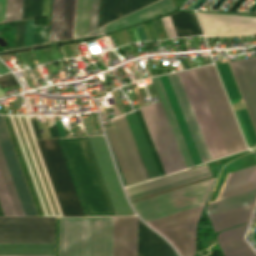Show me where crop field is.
<instances>
[{"mask_svg": "<svg viewBox=\"0 0 256 256\" xmlns=\"http://www.w3.org/2000/svg\"><path fill=\"white\" fill-rule=\"evenodd\" d=\"M116 215H133L103 136L88 137ZM88 215H114L86 137L60 139Z\"/></svg>", "mask_w": 256, "mask_h": 256, "instance_id": "8a807250", "label": "crop field"}, {"mask_svg": "<svg viewBox=\"0 0 256 256\" xmlns=\"http://www.w3.org/2000/svg\"><path fill=\"white\" fill-rule=\"evenodd\" d=\"M227 154L247 149L213 65L194 69ZM194 70L178 73L211 159L226 156Z\"/></svg>", "mask_w": 256, "mask_h": 256, "instance_id": "ac0d7876", "label": "crop field"}, {"mask_svg": "<svg viewBox=\"0 0 256 256\" xmlns=\"http://www.w3.org/2000/svg\"><path fill=\"white\" fill-rule=\"evenodd\" d=\"M113 217H60L59 256H112Z\"/></svg>", "mask_w": 256, "mask_h": 256, "instance_id": "34b2d1b8", "label": "crop field"}, {"mask_svg": "<svg viewBox=\"0 0 256 256\" xmlns=\"http://www.w3.org/2000/svg\"><path fill=\"white\" fill-rule=\"evenodd\" d=\"M213 179L133 203L145 222L189 209L206 202ZM185 194H182L184 193ZM194 202V203H191Z\"/></svg>", "mask_w": 256, "mask_h": 256, "instance_id": "412701ff", "label": "crop field"}, {"mask_svg": "<svg viewBox=\"0 0 256 256\" xmlns=\"http://www.w3.org/2000/svg\"><path fill=\"white\" fill-rule=\"evenodd\" d=\"M64 215H84L57 139L36 140Z\"/></svg>", "mask_w": 256, "mask_h": 256, "instance_id": "f4fd0767", "label": "crop field"}, {"mask_svg": "<svg viewBox=\"0 0 256 256\" xmlns=\"http://www.w3.org/2000/svg\"><path fill=\"white\" fill-rule=\"evenodd\" d=\"M165 173L185 169L160 103L140 110Z\"/></svg>", "mask_w": 256, "mask_h": 256, "instance_id": "dd49c442", "label": "crop field"}, {"mask_svg": "<svg viewBox=\"0 0 256 256\" xmlns=\"http://www.w3.org/2000/svg\"><path fill=\"white\" fill-rule=\"evenodd\" d=\"M120 118H123V116ZM120 118H117L111 121L113 126L104 127V128L116 127V125L118 127V128H112V129H106V130H107L115 157L117 159L118 165L120 167L121 173L123 175L124 181L127 184L130 182L147 178L148 176L146 174V171L144 169V166L142 164V161L140 159V156L138 154V151L132 139V136L129 132L125 119L124 118L120 119ZM115 120H118V121H115ZM113 121H115L116 125L114 124ZM116 159H115V162H116ZM117 162H116V165H117ZM119 167H118V170H119ZM120 170H119V173H120ZM122 175H121V178H122ZM123 178H122V182L124 186H128V185L135 184V183L149 179L147 178L144 180H140V181L125 185Z\"/></svg>", "mask_w": 256, "mask_h": 256, "instance_id": "e52e79f7", "label": "crop field"}, {"mask_svg": "<svg viewBox=\"0 0 256 256\" xmlns=\"http://www.w3.org/2000/svg\"><path fill=\"white\" fill-rule=\"evenodd\" d=\"M54 217L0 218V243H53Z\"/></svg>", "mask_w": 256, "mask_h": 256, "instance_id": "d8731c3e", "label": "crop field"}, {"mask_svg": "<svg viewBox=\"0 0 256 256\" xmlns=\"http://www.w3.org/2000/svg\"><path fill=\"white\" fill-rule=\"evenodd\" d=\"M204 205L147 222L167 236L181 256H193L195 230Z\"/></svg>", "mask_w": 256, "mask_h": 256, "instance_id": "5a996713", "label": "crop field"}, {"mask_svg": "<svg viewBox=\"0 0 256 256\" xmlns=\"http://www.w3.org/2000/svg\"><path fill=\"white\" fill-rule=\"evenodd\" d=\"M198 14L207 37L256 34V16Z\"/></svg>", "mask_w": 256, "mask_h": 256, "instance_id": "3316defc", "label": "crop field"}, {"mask_svg": "<svg viewBox=\"0 0 256 256\" xmlns=\"http://www.w3.org/2000/svg\"><path fill=\"white\" fill-rule=\"evenodd\" d=\"M0 144L26 216L38 215L22 173L3 116H0Z\"/></svg>", "mask_w": 256, "mask_h": 256, "instance_id": "28ad6ade", "label": "crop field"}, {"mask_svg": "<svg viewBox=\"0 0 256 256\" xmlns=\"http://www.w3.org/2000/svg\"><path fill=\"white\" fill-rule=\"evenodd\" d=\"M135 113H136V115H137V118H138L139 123H140V125H141V128H142V130H143V133H144V135H145V138H146V140H147V143H148V145H149V148H150V150H151V153H152V155H153V158H154L155 163H156V165H157V168H158V170H159V173H160V175L162 176V175H164L165 173H164V171H163V168H162V166H161V163H160V161H159V158H158V156H157V153H156V151H155V148H154V146H153V143H152V141H151V138H150V136H149V133H148V131H147V128H146V126H145V123H144V121H143V118H142V116H141V113H140L139 110L136 111ZM135 113L133 112V113H130V114H128V115H125V119H126V121H127V124H128V126H129V129H130V131H131V134H132V136H133V139H134V141H135V144H136V146H137V149H138V151H139V154H140V156H141V159H142L143 164H144V166H145V168H146V171H147V173H148L149 178L151 179V178L159 177L160 175H159V173H158V170H157V168H156V165H155V163H154V160H153V158H152V155H151V153H150V150H149V148H148V145H147V143H146V140H145V138H144V135H143V133H142V130H141V128H140V125H139V123H138V120H137V118H136Z\"/></svg>", "mask_w": 256, "mask_h": 256, "instance_id": "d1516ede", "label": "crop field"}, {"mask_svg": "<svg viewBox=\"0 0 256 256\" xmlns=\"http://www.w3.org/2000/svg\"><path fill=\"white\" fill-rule=\"evenodd\" d=\"M229 63L256 128V57Z\"/></svg>", "mask_w": 256, "mask_h": 256, "instance_id": "22f410ed", "label": "crop field"}, {"mask_svg": "<svg viewBox=\"0 0 256 256\" xmlns=\"http://www.w3.org/2000/svg\"><path fill=\"white\" fill-rule=\"evenodd\" d=\"M136 217H114L113 256H136Z\"/></svg>", "mask_w": 256, "mask_h": 256, "instance_id": "cbeb9de0", "label": "crop field"}, {"mask_svg": "<svg viewBox=\"0 0 256 256\" xmlns=\"http://www.w3.org/2000/svg\"><path fill=\"white\" fill-rule=\"evenodd\" d=\"M52 1L53 0H51L49 36H50ZM74 8H75V0H54L53 1L50 41L72 37ZM48 43H50L49 37H48Z\"/></svg>", "mask_w": 256, "mask_h": 256, "instance_id": "5142ce71", "label": "crop field"}, {"mask_svg": "<svg viewBox=\"0 0 256 256\" xmlns=\"http://www.w3.org/2000/svg\"><path fill=\"white\" fill-rule=\"evenodd\" d=\"M168 76L170 78L171 84H172L173 89L175 91L176 97H177L178 102L180 104L181 110H182L183 115L185 117L186 123L188 125L191 136L193 138V141L195 143V146H196V149L198 151L201 162L203 163V162L210 161L211 160L210 156L208 154L207 148H206L205 143L203 141L202 135H201L200 130L198 128V125L196 123L195 117H194L193 112L191 110V107L189 105V102H188V99H187L186 94L184 92V89L182 87L179 76H178L177 73L170 74Z\"/></svg>", "mask_w": 256, "mask_h": 256, "instance_id": "d9b57169", "label": "crop field"}, {"mask_svg": "<svg viewBox=\"0 0 256 256\" xmlns=\"http://www.w3.org/2000/svg\"><path fill=\"white\" fill-rule=\"evenodd\" d=\"M97 9H98V0L92 1V11H91V0L76 1L73 38L88 36L90 11H91V21H90L89 36L95 34Z\"/></svg>", "mask_w": 256, "mask_h": 256, "instance_id": "733c2abd", "label": "crop field"}, {"mask_svg": "<svg viewBox=\"0 0 256 256\" xmlns=\"http://www.w3.org/2000/svg\"><path fill=\"white\" fill-rule=\"evenodd\" d=\"M254 188H256V165L232 172L219 199L242 193Z\"/></svg>", "mask_w": 256, "mask_h": 256, "instance_id": "4a817a6b", "label": "crop field"}, {"mask_svg": "<svg viewBox=\"0 0 256 256\" xmlns=\"http://www.w3.org/2000/svg\"><path fill=\"white\" fill-rule=\"evenodd\" d=\"M157 0H102L100 26Z\"/></svg>", "mask_w": 256, "mask_h": 256, "instance_id": "bc2a9ffb", "label": "crop field"}, {"mask_svg": "<svg viewBox=\"0 0 256 256\" xmlns=\"http://www.w3.org/2000/svg\"><path fill=\"white\" fill-rule=\"evenodd\" d=\"M151 80H152L153 85H154V87H155L156 93H157V95H158V98H159L160 103H161V105H162V108H163V110H164V113H165V115H166V118H167V120H168V123H169V125H170V128H171V130H172V133H173V135H174V137H175V140H176V142H177V145H178V147H179V150H180V152H181V155H182V157H183V160H184V162H185V165H186V167L188 168V167L192 166L193 164H192L191 159H190V157H189V154H188V152H187L186 146H185V144H184V141H183V139H182V136H181V134H180V131H179V129H178V126H177V124H176L175 118H174V116H173V113H172V111H171V108H170V106H169V103H168V101H167V98H166V96H165V93H164V90H163L162 85H161V83H160V80H159L158 77L152 78Z\"/></svg>", "mask_w": 256, "mask_h": 256, "instance_id": "214f88e0", "label": "crop field"}, {"mask_svg": "<svg viewBox=\"0 0 256 256\" xmlns=\"http://www.w3.org/2000/svg\"><path fill=\"white\" fill-rule=\"evenodd\" d=\"M137 256H164V240L138 221Z\"/></svg>", "mask_w": 256, "mask_h": 256, "instance_id": "92a150f3", "label": "crop field"}, {"mask_svg": "<svg viewBox=\"0 0 256 256\" xmlns=\"http://www.w3.org/2000/svg\"><path fill=\"white\" fill-rule=\"evenodd\" d=\"M254 204L210 216L209 218L215 231L217 232L230 226L247 222L251 216V211H253Z\"/></svg>", "mask_w": 256, "mask_h": 256, "instance_id": "dafd665d", "label": "crop field"}, {"mask_svg": "<svg viewBox=\"0 0 256 256\" xmlns=\"http://www.w3.org/2000/svg\"><path fill=\"white\" fill-rule=\"evenodd\" d=\"M169 16L178 37L203 34L193 12L178 11Z\"/></svg>", "mask_w": 256, "mask_h": 256, "instance_id": "00972430", "label": "crop field"}, {"mask_svg": "<svg viewBox=\"0 0 256 256\" xmlns=\"http://www.w3.org/2000/svg\"><path fill=\"white\" fill-rule=\"evenodd\" d=\"M0 255H53V244H0Z\"/></svg>", "mask_w": 256, "mask_h": 256, "instance_id": "a9b5d70f", "label": "crop field"}, {"mask_svg": "<svg viewBox=\"0 0 256 256\" xmlns=\"http://www.w3.org/2000/svg\"><path fill=\"white\" fill-rule=\"evenodd\" d=\"M256 201V190L223 199L208 205V215H214L240 206H244Z\"/></svg>", "mask_w": 256, "mask_h": 256, "instance_id": "4177f3b9", "label": "crop field"}, {"mask_svg": "<svg viewBox=\"0 0 256 256\" xmlns=\"http://www.w3.org/2000/svg\"><path fill=\"white\" fill-rule=\"evenodd\" d=\"M208 170L209 169H208L207 165H204V166L197 167V168H194L191 170L175 173V174L163 177V178H159V179H156V180H153L150 182H146V183L134 186V187L127 188L126 189L127 195L129 196V195H132L135 193H139V192H142V191H145V190L157 187V186H161V185H164V184L176 181V180H180V179H183V178H186V177L198 174V173H202V172H205Z\"/></svg>", "mask_w": 256, "mask_h": 256, "instance_id": "730fd06b", "label": "crop field"}, {"mask_svg": "<svg viewBox=\"0 0 256 256\" xmlns=\"http://www.w3.org/2000/svg\"><path fill=\"white\" fill-rule=\"evenodd\" d=\"M0 173L16 216H25L0 147Z\"/></svg>", "mask_w": 256, "mask_h": 256, "instance_id": "eef30255", "label": "crop field"}, {"mask_svg": "<svg viewBox=\"0 0 256 256\" xmlns=\"http://www.w3.org/2000/svg\"><path fill=\"white\" fill-rule=\"evenodd\" d=\"M209 176H212L210 171L207 172V173L200 174V175H197V176H194V177H191V178H187V179H184V180H181V181H178V182H174V183L162 186V187H158V188H155V189H152V190H149V191H145V192H142V193H139V194H136V195H132V196H129L128 198L131 201V200L138 199V198H141V197H144V196H147V195H151V194H154V193H157V192H160V191H164V190L176 187V186H180V185H183V184H186V183H189V182H193V181H196V180H199V179H202V178H206V177H209Z\"/></svg>", "mask_w": 256, "mask_h": 256, "instance_id": "ae1a2a85", "label": "crop field"}, {"mask_svg": "<svg viewBox=\"0 0 256 256\" xmlns=\"http://www.w3.org/2000/svg\"><path fill=\"white\" fill-rule=\"evenodd\" d=\"M247 224L248 222L239 227L223 231L221 234L217 236L219 244L243 237L247 229Z\"/></svg>", "mask_w": 256, "mask_h": 256, "instance_id": "d3111659", "label": "crop field"}, {"mask_svg": "<svg viewBox=\"0 0 256 256\" xmlns=\"http://www.w3.org/2000/svg\"><path fill=\"white\" fill-rule=\"evenodd\" d=\"M22 0H7L5 22L20 19Z\"/></svg>", "mask_w": 256, "mask_h": 256, "instance_id": "750c4746", "label": "crop field"}, {"mask_svg": "<svg viewBox=\"0 0 256 256\" xmlns=\"http://www.w3.org/2000/svg\"><path fill=\"white\" fill-rule=\"evenodd\" d=\"M0 206L4 216H15L0 175Z\"/></svg>", "mask_w": 256, "mask_h": 256, "instance_id": "bd1437ed", "label": "crop field"}, {"mask_svg": "<svg viewBox=\"0 0 256 256\" xmlns=\"http://www.w3.org/2000/svg\"><path fill=\"white\" fill-rule=\"evenodd\" d=\"M220 246H221L224 254L226 255L228 253H231L233 251H236L238 249L246 247V246H248V244L243 238H240V239H237L234 241H230V242L221 244Z\"/></svg>", "mask_w": 256, "mask_h": 256, "instance_id": "1d83c4d3", "label": "crop field"}, {"mask_svg": "<svg viewBox=\"0 0 256 256\" xmlns=\"http://www.w3.org/2000/svg\"><path fill=\"white\" fill-rule=\"evenodd\" d=\"M48 25L35 26L33 45L47 43Z\"/></svg>", "mask_w": 256, "mask_h": 256, "instance_id": "120bbe31", "label": "crop field"}, {"mask_svg": "<svg viewBox=\"0 0 256 256\" xmlns=\"http://www.w3.org/2000/svg\"><path fill=\"white\" fill-rule=\"evenodd\" d=\"M34 19L26 20L24 47L32 45Z\"/></svg>", "mask_w": 256, "mask_h": 256, "instance_id": "d32e631a", "label": "crop field"}, {"mask_svg": "<svg viewBox=\"0 0 256 256\" xmlns=\"http://www.w3.org/2000/svg\"><path fill=\"white\" fill-rule=\"evenodd\" d=\"M24 26L25 20L18 22L15 48L23 47Z\"/></svg>", "mask_w": 256, "mask_h": 256, "instance_id": "5866460e", "label": "crop field"}, {"mask_svg": "<svg viewBox=\"0 0 256 256\" xmlns=\"http://www.w3.org/2000/svg\"><path fill=\"white\" fill-rule=\"evenodd\" d=\"M33 0H23L21 19L31 18Z\"/></svg>", "mask_w": 256, "mask_h": 256, "instance_id": "028f5c9d", "label": "crop field"}, {"mask_svg": "<svg viewBox=\"0 0 256 256\" xmlns=\"http://www.w3.org/2000/svg\"><path fill=\"white\" fill-rule=\"evenodd\" d=\"M16 84L17 82L11 73L0 77L1 88L11 86V85H16Z\"/></svg>", "mask_w": 256, "mask_h": 256, "instance_id": "e1f06a70", "label": "crop field"}, {"mask_svg": "<svg viewBox=\"0 0 256 256\" xmlns=\"http://www.w3.org/2000/svg\"><path fill=\"white\" fill-rule=\"evenodd\" d=\"M226 256H256V255L254 254L250 246H248L246 248H243L241 250H238Z\"/></svg>", "mask_w": 256, "mask_h": 256, "instance_id": "0bd39190", "label": "crop field"}, {"mask_svg": "<svg viewBox=\"0 0 256 256\" xmlns=\"http://www.w3.org/2000/svg\"><path fill=\"white\" fill-rule=\"evenodd\" d=\"M42 0H34L32 18L41 16Z\"/></svg>", "mask_w": 256, "mask_h": 256, "instance_id": "b80d0937", "label": "crop field"}, {"mask_svg": "<svg viewBox=\"0 0 256 256\" xmlns=\"http://www.w3.org/2000/svg\"><path fill=\"white\" fill-rule=\"evenodd\" d=\"M165 256H177L171 245L165 240Z\"/></svg>", "mask_w": 256, "mask_h": 256, "instance_id": "c035e120", "label": "crop field"}, {"mask_svg": "<svg viewBox=\"0 0 256 256\" xmlns=\"http://www.w3.org/2000/svg\"><path fill=\"white\" fill-rule=\"evenodd\" d=\"M6 0H0V23L4 22Z\"/></svg>", "mask_w": 256, "mask_h": 256, "instance_id": "c21b1889", "label": "crop field"}, {"mask_svg": "<svg viewBox=\"0 0 256 256\" xmlns=\"http://www.w3.org/2000/svg\"><path fill=\"white\" fill-rule=\"evenodd\" d=\"M49 10H50V0H43L42 16L49 15Z\"/></svg>", "mask_w": 256, "mask_h": 256, "instance_id": "03da06ac", "label": "crop field"}, {"mask_svg": "<svg viewBox=\"0 0 256 256\" xmlns=\"http://www.w3.org/2000/svg\"><path fill=\"white\" fill-rule=\"evenodd\" d=\"M31 122H32V126H33V129H34L36 138H41L37 122L36 121H31Z\"/></svg>", "mask_w": 256, "mask_h": 256, "instance_id": "b54c1fbb", "label": "crop field"}, {"mask_svg": "<svg viewBox=\"0 0 256 256\" xmlns=\"http://www.w3.org/2000/svg\"><path fill=\"white\" fill-rule=\"evenodd\" d=\"M161 19H162V21H163V24H164V27H165V29H166V32H167L168 37H169V38L173 37L172 34H171V31H170V29H169V26H168V24H167V22H166L165 17L163 16V17H161Z\"/></svg>", "mask_w": 256, "mask_h": 256, "instance_id": "5d738f31", "label": "crop field"}, {"mask_svg": "<svg viewBox=\"0 0 256 256\" xmlns=\"http://www.w3.org/2000/svg\"><path fill=\"white\" fill-rule=\"evenodd\" d=\"M136 27H137V29L139 31L141 39L142 40H147L142 25H137Z\"/></svg>", "mask_w": 256, "mask_h": 256, "instance_id": "d23c7cc5", "label": "crop field"}, {"mask_svg": "<svg viewBox=\"0 0 256 256\" xmlns=\"http://www.w3.org/2000/svg\"><path fill=\"white\" fill-rule=\"evenodd\" d=\"M131 29H132V31H133V33H134V35H135L136 40H137V41H141V40H140V37H139V35H138V33H137L136 27L134 26V27H132Z\"/></svg>", "mask_w": 256, "mask_h": 256, "instance_id": "425ffa30", "label": "crop field"}, {"mask_svg": "<svg viewBox=\"0 0 256 256\" xmlns=\"http://www.w3.org/2000/svg\"><path fill=\"white\" fill-rule=\"evenodd\" d=\"M48 128H49L50 136H51V137H55L52 128H51V127H48Z\"/></svg>", "mask_w": 256, "mask_h": 256, "instance_id": "25e5ab78", "label": "crop field"}, {"mask_svg": "<svg viewBox=\"0 0 256 256\" xmlns=\"http://www.w3.org/2000/svg\"><path fill=\"white\" fill-rule=\"evenodd\" d=\"M52 128H53V130H54V133H55L56 137H59L57 128H56V127H52Z\"/></svg>", "mask_w": 256, "mask_h": 256, "instance_id": "73cf0c24", "label": "crop field"}, {"mask_svg": "<svg viewBox=\"0 0 256 256\" xmlns=\"http://www.w3.org/2000/svg\"><path fill=\"white\" fill-rule=\"evenodd\" d=\"M5 96L4 92L0 89V97Z\"/></svg>", "mask_w": 256, "mask_h": 256, "instance_id": "89e229c0", "label": "crop field"}, {"mask_svg": "<svg viewBox=\"0 0 256 256\" xmlns=\"http://www.w3.org/2000/svg\"><path fill=\"white\" fill-rule=\"evenodd\" d=\"M0 207H1V206H0ZM0 216H3V215H2V212H1V209H0Z\"/></svg>", "mask_w": 256, "mask_h": 256, "instance_id": "1f2cbd36", "label": "crop field"}, {"mask_svg": "<svg viewBox=\"0 0 256 256\" xmlns=\"http://www.w3.org/2000/svg\"><path fill=\"white\" fill-rule=\"evenodd\" d=\"M253 48H254V50H255V52H256V46H254Z\"/></svg>", "mask_w": 256, "mask_h": 256, "instance_id": "dbb93151", "label": "crop field"}, {"mask_svg": "<svg viewBox=\"0 0 256 256\" xmlns=\"http://www.w3.org/2000/svg\"><path fill=\"white\" fill-rule=\"evenodd\" d=\"M206 256H212L211 254H209V255H206Z\"/></svg>", "mask_w": 256, "mask_h": 256, "instance_id": "0fb4a251", "label": "crop field"}]
</instances>
